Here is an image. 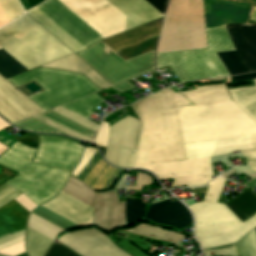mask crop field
I'll use <instances>...</instances> for the list:
<instances>
[{
	"label": "crop field",
	"instance_id": "crop-field-1",
	"mask_svg": "<svg viewBox=\"0 0 256 256\" xmlns=\"http://www.w3.org/2000/svg\"><path fill=\"white\" fill-rule=\"evenodd\" d=\"M60 1L104 38L123 31L126 17L125 30L162 17V15L164 16L168 4V0H145L161 15L144 0H107L125 17L105 0ZM60 1L47 0L37 8L85 48L103 38ZM37 8L35 7L31 10L79 51L84 49ZM162 22L163 17L102 41L116 51L122 47L158 35Z\"/></svg>",
	"mask_w": 256,
	"mask_h": 256
},
{
	"label": "crop field",
	"instance_id": "crop-field-2",
	"mask_svg": "<svg viewBox=\"0 0 256 256\" xmlns=\"http://www.w3.org/2000/svg\"><path fill=\"white\" fill-rule=\"evenodd\" d=\"M172 93L184 144L256 134V123L231 101L226 85Z\"/></svg>",
	"mask_w": 256,
	"mask_h": 256
},
{
	"label": "crop field",
	"instance_id": "crop-field-3",
	"mask_svg": "<svg viewBox=\"0 0 256 256\" xmlns=\"http://www.w3.org/2000/svg\"><path fill=\"white\" fill-rule=\"evenodd\" d=\"M226 26L249 72L256 71V25ZM226 26L206 29L208 48L156 54L157 69L169 66L180 83L229 75L215 53L235 50Z\"/></svg>",
	"mask_w": 256,
	"mask_h": 256
},
{
	"label": "crop field",
	"instance_id": "crop-field-4",
	"mask_svg": "<svg viewBox=\"0 0 256 256\" xmlns=\"http://www.w3.org/2000/svg\"><path fill=\"white\" fill-rule=\"evenodd\" d=\"M206 28L226 23H245L251 6L203 0ZM202 0H171L158 52L207 47Z\"/></svg>",
	"mask_w": 256,
	"mask_h": 256
},
{
	"label": "crop field",
	"instance_id": "crop-field-5",
	"mask_svg": "<svg viewBox=\"0 0 256 256\" xmlns=\"http://www.w3.org/2000/svg\"><path fill=\"white\" fill-rule=\"evenodd\" d=\"M132 108L142 124L135 166L186 159L170 88Z\"/></svg>",
	"mask_w": 256,
	"mask_h": 256
},
{
	"label": "crop field",
	"instance_id": "crop-field-6",
	"mask_svg": "<svg viewBox=\"0 0 256 256\" xmlns=\"http://www.w3.org/2000/svg\"><path fill=\"white\" fill-rule=\"evenodd\" d=\"M256 135L228 138L184 145L186 157L197 158L216 156L241 149ZM247 160L252 171H256V139L239 150ZM211 157L190 159L180 162L156 164L134 168H143L151 171L159 180L174 178L172 186L186 185V187L205 185L212 178L210 166Z\"/></svg>",
	"mask_w": 256,
	"mask_h": 256
},
{
	"label": "crop field",
	"instance_id": "crop-field-7",
	"mask_svg": "<svg viewBox=\"0 0 256 256\" xmlns=\"http://www.w3.org/2000/svg\"><path fill=\"white\" fill-rule=\"evenodd\" d=\"M224 183L225 179L216 177L204 198L216 202ZM205 199L189 206L195 217L196 237L202 249L237 242L256 227V215L242 223L224 204Z\"/></svg>",
	"mask_w": 256,
	"mask_h": 256
},
{
	"label": "crop field",
	"instance_id": "crop-field-8",
	"mask_svg": "<svg viewBox=\"0 0 256 256\" xmlns=\"http://www.w3.org/2000/svg\"><path fill=\"white\" fill-rule=\"evenodd\" d=\"M35 151L17 142L0 156V165L19 173L5 183L22 192L38 206L61 190L71 172L32 162Z\"/></svg>",
	"mask_w": 256,
	"mask_h": 256
},
{
	"label": "crop field",
	"instance_id": "crop-field-9",
	"mask_svg": "<svg viewBox=\"0 0 256 256\" xmlns=\"http://www.w3.org/2000/svg\"><path fill=\"white\" fill-rule=\"evenodd\" d=\"M0 46L28 69L72 53L25 13L0 29Z\"/></svg>",
	"mask_w": 256,
	"mask_h": 256
},
{
	"label": "crop field",
	"instance_id": "crop-field-10",
	"mask_svg": "<svg viewBox=\"0 0 256 256\" xmlns=\"http://www.w3.org/2000/svg\"><path fill=\"white\" fill-rule=\"evenodd\" d=\"M31 80L46 90L28 97L43 110L100 91L85 76L46 68H36L8 79L16 87Z\"/></svg>",
	"mask_w": 256,
	"mask_h": 256
},
{
	"label": "crop field",
	"instance_id": "crop-field-11",
	"mask_svg": "<svg viewBox=\"0 0 256 256\" xmlns=\"http://www.w3.org/2000/svg\"><path fill=\"white\" fill-rule=\"evenodd\" d=\"M154 50L124 61L100 40L76 55L115 85L156 70Z\"/></svg>",
	"mask_w": 256,
	"mask_h": 256
},
{
	"label": "crop field",
	"instance_id": "crop-field-12",
	"mask_svg": "<svg viewBox=\"0 0 256 256\" xmlns=\"http://www.w3.org/2000/svg\"><path fill=\"white\" fill-rule=\"evenodd\" d=\"M127 115L119 117L110 126ZM141 124L138 120L126 117L109 128L105 158L121 168H133Z\"/></svg>",
	"mask_w": 256,
	"mask_h": 256
},
{
	"label": "crop field",
	"instance_id": "crop-field-13",
	"mask_svg": "<svg viewBox=\"0 0 256 256\" xmlns=\"http://www.w3.org/2000/svg\"><path fill=\"white\" fill-rule=\"evenodd\" d=\"M142 200L126 198L127 224L141 219L144 215V204ZM181 203V202H180ZM178 201L170 200L150 206L144 219L155 223L175 227L177 229L191 225L192 216L187 208Z\"/></svg>",
	"mask_w": 256,
	"mask_h": 256
},
{
	"label": "crop field",
	"instance_id": "crop-field-14",
	"mask_svg": "<svg viewBox=\"0 0 256 256\" xmlns=\"http://www.w3.org/2000/svg\"><path fill=\"white\" fill-rule=\"evenodd\" d=\"M40 147L35 162L71 171L78 163L83 147L55 136H39Z\"/></svg>",
	"mask_w": 256,
	"mask_h": 256
},
{
	"label": "crop field",
	"instance_id": "crop-field-15",
	"mask_svg": "<svg viewBox=\"0 0 256 256\" xmlns=\"http://www.w3.org/2000/svg\"><path fill=\"white\" fill-rule=\"evenodd\" d=\"M57 241L81 256H129L95 228L71 232Z\"/></svg>",
	"mask_w": 256,
	"mask_h": 256
},
{
	"label": "crop field",
	"instance_id": "crop-field-16",
	"mask_svg": "<svg viewBox=\"0 0 256 256\" xmlns=\"http://www.w3.org/2000/svg\"><path fill=\"white\" fill-rule=\"evenodd\" d=\"M43 111L0 76V115L11 123Z\"/></svg>",
	"mask_w": 256,
	"mask_h": 256
},
{
	"label": "crop field",
	"instance_id": "crop-field-17",
	"mask_svg": "<svg viewBox=\"0 0 256 256\" xmlns=\"http://www.w3.org/2000/svg\"><path fill=\"white\" fill-rule=\"evenodd\" d=\"M61 192L41 206L80 226H84V224L90 219L96 210Z\"/></svg>",
	"mask_w": 256,
	"mask_h": 256
},
{
	"label": "crop field",
	"instance_id": "crop-field-18",
	"mask_svg": "<svg viewBox=\"0 0 256 256\" xmlns=\"http://www.w3.org/2000/svg\"><path fill=\"white\" fill-rule=\"evenodd\" d=\"M42 66L59 68V69L82 73L85 76H87L89 79H91L101 89L111 86L99 74H97L92 68H90L87 64H85L82 60H80L74 54Z\"/></svg>",
	"mask_w": 256,
	"mask_h": 256
},
{
	"label": "crop field",
	"instance_id": "crop-field-19",
	"mask_svg": "<svg viewBox=\"0 0 256 256\" xmlns=\"http://www.w3.org/2000/svg\"><path fill=\"white\" fill-rule=\"evenodd\" d=\"M256 187V179L245 184ZM244 185V186H245ZM242 222L256 214V194L247 188L225 204ZM249 216V217H247Z\"/></svg>",
	"mask_w": 256,
	"mask_h": 256
},
{
	"label": "crop field",
	"instance_id": "crop-field-20",
	"mask_svg": "<svg viewBox=\"0 0 256 256\" xmlns=\"http://www.w3.org/2000/svg\"><path fill=\"white\" fill-rule=\"evenodd\" d=\"M233 81L256 78V73L232 77ZM256 85V79H254ZM233 101L256 122V87L228 90Z\"/></svg>",
	"mask_w": 256,
	"mask_h": 256
},
{
	"label": "crop field",
	"instance_id": "crop-field-21",
	"mask_svg": "<svg viewBox=\"0 0 256 256\" xmlns=\"http://www.w3.org/2000/svg\"><path fill=\"white\" fill-rule=\"evenodd\" d=\"M144 237H149L169 243L176 244L178 241L185 238V236L177 233L170 232L168 230L148 226V225H140L132 230L124 231Z\"/></svg>",
	"mask_w": 256,
	"mask_h": 256
},
{
	"label": "crop field",
	"instance_id": "crop-field-22",
	"mask_svg": "<svg viewBox=\"0 0 256 256\" xmlns=\"http://www.w3.org/2000/svg\"><path fill=\"white\" fill-rule=\"evenodd\" d=\"M53 241L27 229L26 251L28 256H43Z\"/></svg>",
	"mask_w": 256,
	"mask_h": 256
},
{
	"label": "crop field",
	"instance_id": "crop-field-23",
	"mask_svg": "<svg viewBox=\"0 0 256 256\" xmlns=\"http://www.w3.org/2000/svg\"><path fill=\"white\" fill-rule=\"evenodd\" d=\"M102 103L104 102L99 97H97L95 94H92L62 107L87 118L92 114L89 111Z\"/></svg>",
	"mask_w": 256,
	"mask_h": 256
},
{
	"label": "crop field",
	"instance_id": "crop-field-24",
	"mask_svg": "<svg viewBox=\"0 0 256 256\" xmlns=\"http://www.w3.org/2000/svg\"><path fill=\"white\" fill-rule=\"evenodd\" d=\"M27 227L52 240L65 231L33 214L29 216Z\"/></svg>",
	"mask_w": 256,
	"mask_h": 256
},
{
	"label": "crop field",
	"instance_id": "crop-field-25",
	"mask_svg": "<svg viewBox=\"0 0 256 256\" xmlns=\"http://www.w3.org/2000/svg\"><path fill=\"white\" fill-rule=\"evenodd\" d=\"M217 55L219 56L220 60L222 61L230 75L248 72V68L246 69L237 51L221 52L217 53Z\"/></svg>",
	"mask_w": 256,
	"mask_h": 256
},
{
	"label": "crop field",
	"instance_id": "crop-field-26",
	"mask_svg": "<svg viewBox=\"0 0 256 256\" xmlns=\"http://www.w3.org/2000/svg\"><path fill=\"white\" fill-rule=\"evenodd\" d=\"M6 52V51H5ZM3 49L0 50V74L5 78L27 71L11 56L5 53Z\"/></svg>",
	"mask_w": 256,
	"mask_h": 256
},
{
	"label": "crop field",
	"instance_id": "crop-field-27",
	"mask_svg": "<svg viewBox=\"0 0 256 256\" xmlns=\"http://www.w3.org/2000/svg\"><path fill=\"white\" fill-rule=\"evenodd\" d=\"M41 115H43V116L61 124V125L69 128L73 131H76L78 133H81V134H84V135H87V136L95 137V134H96L95 132H93V131H91V130H89V129H87V128H85V127H83V126H81V125H79V124H77V123H75V122H73V121L55 113V112H53V111H51V110H49V111H47V112H45Z\"/></svg>",
	"mask_w": 256,
	"mask_h": 256
},
{
	"label": "crop field",
	"instance_id": "crop-field-28",
	"mask_svg": "<svg viewBox=\"0 0 256 256\" xmlns=\"http://www.w3.org/2000/svg\"><path fill=\"white\" fill-rule=\"evenodd\" d=\"M13 125L29 131H35V132H43V133H53V134H63L48 125L30 117L25 120L19 121L17 123H14Z\"/></svg>",
	"mask_w": 256,
	"mask_h": 256
},
{
	"label": "crop field",
	"instance_id": "crop-field-29",
	"mask_svg": "<svg viewBox=\"0 0 256 256\" xmlns=\"http://www.w3.org/2000/svg\"><path fill=\"white\" fill-rule=\"evenodd\" d=\"M54 111L63 115V116H65V117H67V118H69V119H71V120H73V121H75V122H77V123H79V124H81V125H83V126H85V127H87V128H89V129H91V130H93V131H96L98 129L99 125H97V124H95V123H93V122L75 114V113H72V112H70V111H68V110H66L62 107L55 108Z\"/></svg>",
	"mask_w": 256,
	"mask_h": 256
},
{
	"label": "crop field",
	"instance_id": "crop-field-30",
	"mask_svg": "<svg viewBox=\"0 0 256 256\" xmlns=\"http://www.w3.org/2000/svg\"><path fill=\"white\" fill-rule=\"evenodd\" d=\"M0 4L4 8L10 21L23 13L17 0H0Z\"/></svg>",
	"mask_w": 256,
	"mask_h": 256
},
{
	"label": "crop field",
	"instance_id": "crop-field-31",
	"mask_svg": "<svg viewBox=\"0 0 256 256\" xmlns=\"http://www.w3.org/2000/svg\"><path fill=\"white\" fill-rule=\"evenodd\" d=\"M34 118H36V119H38V120H40V121H42V122H44V123L54 127V128H56V129L66 133V134H68L70 136H73V137H76V138H80V139H84V140H87L89 142H91L92 139H93L91 137H87V136L78 134L76 132H73V131H71V130H69V129H67V128H65V127H63V126H61V125H59V124H57V123H55L53 121H50V120H48V119H46V118H44V117H42L40 115L34 116Z\"/></svg>",
	"mask_w": 256,
	"mask_h": 256
},
{
	"label": "crop field",
	"instance_id": "crop-field-32",
	"mask_svg": "<svg viewBox=\"0 0 256 256\" xmlns=\"http://www.w3.org/2000/svg\"><path fill=\"white\" fill-rule=\"evenodd\" d=\"M27 14L30 15L34 20H36L39 24H41L43 27H45L50 33H52L58 40H60L62 43H64L67 47H69L72 51L75 53L78 52L77 49H75L70 43H68L63 37H61L56 31H54L49 25H47L42 19H40L35 13H33L31 10L27 11Z\"/></svg>",
	"mask_w": 256,
	"mask_h": 256
},
{
	"label": "crop field",
	"instance_id": "crop-field-33",
	"mask_svg": "<svg viewBox=\"0 0 256 256\" xmlns=\"http://www.w3.org/2000/svg\"><path fill=\"white\" fill-rule=\"evenodd\" d=\"M44 256H78L60 243H54Z\"/></svg>",
	"mask_w": 256,
	"mask_h": 256
},
{
	"label": "crop field",
	"instance_id": "crop-field-34",
	"mask_svg": "<svg viewBox=\"0 0 256 256\" xmlns=\"http://www.w3.org/2000/svg\"><path fill=\"white\" fill-rule=\"evenodd\" d=\"M209 252H214L215 255H218V256H239L236 245H233L228 248L203 250V254L210 255Z\"/></svg>",
	"mask_w": 256,
	"mask_h": 256
},
{
	"label": "crop field",
	"instance_id": "crop-field-35",
	"mask_svg": "<svg viewBox=\"0 0 256 256\" xmlns=\"http://www.w3.org/2000/svg\"><path fill=\"white\" fill-rule=\"evenodd\" d=\"M97 150L92 147H86L84 150L83 157L79 163V165L73 170L72 174L78 175V173L82 170V168L86 165V163L91 159V157L95 154ZM84 169V168H83ZM80 174V173H79Z\"/></svg>",
	"mask_w": 256,
	"mask_h": 256
},
{
	"label": "crop field",
	"instance_id": "crop-field-36",
	"mask_svg": "<svg viewBox=\"0 0 256 256\" xmlns=\"http://www.w3.org/2000/svg\"><path fill=\"white\" fill-rule=\"evenodd\" d=\"M109 124L106 122H102L98 135L94 141V143L98 146H106L107 142V133H108Z\"/></svg>",
	"mask_w": 256,
	"mask_h": 256
},
{
	"label": "crop field",
	"instance_id": "crop-field-37",
	"mask_svg": "<svg viewBox=\"0 0 256 256\" xmlns=\"http://www.w3.org/2000/svg\"><path fill=\"white\" fill-rule=\"evenodd\" d=\"M25 251V247H24V241L16 244L12 247H9L5 250L0 251L1 254H5V255H10V256H14L16 254L22 253Z\"/></svg>",
	"mask_w": 256,
	"mask_h": 256
},
{
	"label": "crop field",
	"instance_id": "crop-field-38",
	"mask_svg": "<svg viewBox=\"0 0 256 256\" xmlns=\"http://www.w3.org/2000/svg\"><path fill=\"white\" fill-rule=\"evenodd\" d=\"M144 184H151L150 177H148L147 175L138 174L137 175L136 186H127V189L140 191L142 185H144Z\"/></svg>",
	"mask_w": 256,
	"mask_h": 256
},
{
	"label": "crop field",
	"instance_id": "crop-field-39",
	"mask_svg": "<svg viewBox=\"0 0 256 256\" xmlns=\"http://www.w3.org/2000/svg\"><path fill=\"white\" fill-rule=\"evenodd\" d=\"M113 88L114 90L118 91L120 94L134 88L133 85H131L130 83L126 82V83H123V84H119V85H116V86H113L111 87Z\"/></svg>",
	"mask_w": 256,
	"mask_h": 256
},
{
	"label": "crop field",
	"instance_id": "crop-field-40",
	"mask_svg": "<svg viewBox=\"0 0 256 256\" xmlns=\"http://www.w3.org/2000/svg\"><path fill=\"white\" fill-rule=\"evenodd\" d=\"M246 253L248 256H254L248 236L246 235L245 237L242 238Z\"/></svg>",
	"mask_w": 256,
	"mask_h": 256
},
{
	"label": "crop field",
	"instance_id": "crop-field-41",
	"mask_svg": "<svg viewBox=\"0 0 256 256\" xmlns=\"http://www.w3.org/2000/svg\"><path fill=\"white\" fill-rule=\"evenodd\" d=\"M248 236H249L250 242L252 244V247H253V250H254V253L256 256V230L254 229L253 231H251L248 234Z\"/></svg>",
	"mask_w": 256,
	"mask_h": 256
},
{
	"label": "crop field",
	"instance_id": "crop-field-42",
	"mask_svg": "<svg viewBox=\"0 0 256 256\" xmlns=\"http://www.w3.org/2000/svg\"><path fill=\"white\" fill-rule=\"evenodd\" d=\"M10 21L7 18L5 12L3 11L2 7L0 6V27L8 24Z\"/></svg>",
	"mask_w": 256,
	"mask_h": 256
},
{
	"label": "crop field",
	"instance_id": "crop-field-43",
	"mask_svg": "<svg viewBox=\"0 0 256 256\" xmlns=\"http://www.w3.org/2000/svg\"><path fill=\"white\" fill-rule=\"evenodd\" d=\"M119 112H120V110H118ZM119 112H117V113H115V114H113V115H108L105 119H104V121H106V122H110L111 120H113V119H115L116 117H118L119 115H121Z\"/></svg>",
	"mask_w": 256,
	"mask_h": 256
},
{
	"label": "crop field",
	"instance_id": "crop-field-44",
	"mask_svg": "<svg viewBox=\"0 0 256 256\" xmlns=\"http://www.w3.org/2000/svg\"><path fill=\"white\" fill-rule=\"evenodd\" d=\"M43 1H44V0H27V2H28V4H29L30 8L33 7V6H35V5H37V4H39V3H41V2H43Z\"/></svg>",
	"mask_w": 256,
	"mask_h": 256
},
{
	"label": "crop field",
	"instance_id": "crop-field-45",
	"mask_svg": "<svg viewBox=\"0 0 256 256\" xmlns=\"http://www.w3.org/2000/svg\"><path fill=\"white\" fill-rule=\"evenodd\" d=\"M2 119V118H1ZM0 119V130L9 126V124L5 123L3 120Z\"/></svg>",
	"mask_w": 256,
	"mask_h": 256
},
{
	"label": "crop field",
	"instance_id": "crop-field-46",
	"mask_svg": "<svg viewBox=\"0 0 256 256\" xmlns=\"http://www.w3.org/2000/svg\"><path fill=\"white\" fill-rule=\"evenodd\" d=\"M250 19L256 21V7L254 8L253 13H252V16H251Z\"/></svg>",
	"mask_w": 256,
	"mask_h": 256
},
{
	"label": "crop field",
	"instance_id": "crop-field-47",
	"mask_svg": "<svg viewBox=\"0 0 256 256\" xmlns=\"http://www.w3.org/2000/svg\"><path fill=\"white\" fill-rule=\"evenodd\" d=\"M97 94H98L99 96H101V97H102L103 99H105V100H107V99L110 98V97L108 98V97H106V96L103 97L102 95L104 94V92H98Z\"/></svg>",
	"mask_w": 256,
	"mask_h": 256
},
{
	"label": "crop field",
	"instance_id": "crop-field-48",
	"mask_svg": "<svg viewBox=\"0 0 256 256\" xmlns=\"http://www.w3.org/2000/svg\"><path fill=\"white\" fill-rule=\"evenodd\" d=\"M5 149H7V148H5L4 146H2V145L0 144V154H1Z\"/></svg>",
	"mask_w": 256,
	"mask_h": 256
},
{
	"label": "crop field",
	"instance_id": "crop-field-49",
	"mask_svg": "<svg viewBox=\"0 0 256 256\" xmlns=\"http://www.w3.org/2000/svg\"><path fill=\"white\" fill-rule=\"evenodd\" d=\"M0 256H2V255H0Z\"/></svg>",
	"mask_w": 256,
	"mask_h": 256
},
{
	"label": "crop field",
	"instance_id": "crop-field-50",
	"mask_svg": "<svg viewBox=\"0 0 256 256\" xmlns=\"http://www.w3.org/2000/svg\"><path fill=\"white\" fill-rule=\"evenodd\" d=\"M0 49H1V47H0Z\"/></svg>",
	"mask_w": 256,
	"mask_h": 256
}]
</instances>
